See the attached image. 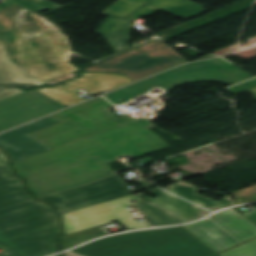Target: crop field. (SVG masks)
Segmentation results:
<instances>
[{
    "label": "crop field",
    "instance_id": "crop-field-1",
    "mask_svg": "<svg viewBox=\"0 0 256 256\" xmlns=\"http://www.w3.org/2000/svg\"><path fill=\"white\" fill-rule=\"evenodd\" d=\"M21 10H0V100L24 92L14 86H40L79 70L68 61L70 50L62 33L26 38L18 31L12 14Z\"/></svg>",
    "mask_w": 256,
    "mask_h": 256
},
{
    "label": "crop field",
    "instance_id": "crop-field-2",
    "mask_svg": "<svg viewBox=\"0 0 256 256\" xmlns=\"http://www.w3.org/2000/svg\"><path fill=\"white\" fill-rule=\"evenodd\" d=\"M16 177L0 151V256H47L56 252L60 234L57 216L50 205L34 200Z\"/></svg>",
    "mask_w": 256,
    "mask_h": 256
},
{
    "label": "crop field",
    "instance_id": "crop-field-3",
    "mask_svg": "<svg viewBox=\"0 0 256 256\" xmlns=\"http://www.w3.org/2000/svg\"><path fill=\"white\" fill-rule=\"evenodd\" d=\"M144 118L13 163L18 175L103 147L115 156L136 158L169 146L148 128Z\"/></svg>",
    "mask_w": 256,
    "mask_h": 256
},
{
    "label": "crop field",
    "instance_id": "crop-field-4",
    "mask_svg": "<svg viewBox=\"0 0 256 256\" xmlns=\"http://www.w3.org/2000/svg\"><path fill=\"white\" fill-rule=\"evenodd\" d=\"M71 252L82 256H209L216 254L181 226L104 238Z\"/></svg>",
    "mask_w": 256,
    "mask_h": 256
},
{
    "label": "crop field",
    "instance_id": "crop-field-5",
    "mask_svg": "<svg viewBox=\"0 0 256 256\" xmlns=\"http://www.w3.org/2000/svg\"><path fill=\"white\" fill-rule=\"evenodd\" d=\"M116 158L99 148L20 176L27 180L28 191L40 198L115 175L107 163Z\"/></svg>",
    "mask_w": 256,
    "mask_h": 256
},
{
    "label": "crop field",
    "instance_id": "crop-field-6",
    "mask_svg": "<svg viewBox=\"0 0 256 256\" xmlns=\"http://www.w3.org/2000/svg\"><path fill=\"white\" fill-rule=\"evenodd\" d=\"M114 107L102 97L52 115L62 123L29 134L53 149L136 120L125 116L118 119L109 112Z\"/></svg>",
    "mask_w": 256,
    "mask_h": 256
},
{
    "label": "crop field",
    "instance_id": "crop-field-7",
    "mask_svg": "<svg viewBox=\"0 0 256 256\" xmlns=\"http://www.w3.org/2000/svg\"><path fill=\"white\" fill-rule=\"evenodd\" d=\"M186 61L158 40L84 71L120 73L137 81Z\"/></svg>",
    "mask_w": 256,
    "mask_h": 256
},
{
    "label": "crop field",
    "instance_id": "crop-field-8",
    "mask_svg": "<svg viewBox=\"0 0 256 256\" xmlns=\"http://www.w3.org/2000/svg\"><path fill=\"white\" fill-rule=\"evenodd\" d=\"M184 228L217 253L256 237V226L233 209Z\"/></svg>",
    "mask_w": 256,
    "mask_h": 256
},
{
    "label": "crop field",
    "instance_id": "crop-field-9",
    "mask_svg": "<svg viewBox=\"0 0 256 256\" xmlns=\"http://www.w3.org/2000/svg\"><path fill=\"white\" fill-rule=\"evenodd\" d=\"M138 184L142 187L131 190L127 188L128 185L121 177L115 175L80 188L43 197L40 198V200L54 203L59 214H62L127 196L152 187L151 183L147 181L138 182Z\"/></svg>",
    "mask_w": 256,
    "mask_h": 256
},
{
    "label": "crop field",
    "instance_id": "crop-field-10",
    "mask_svg": "<svg viewBox=\"0 0 256 256\" xmlns=\"http://www.w3.org/2000/svg\"><path fill=\"white\" fill-rule=\"evenodd\" d=\"M133 199L137 202L142 201L141 198L131 195L96 206L62 214L61 220L64 235L116 220H118L127 230L151 227L145 221L135 222L132 220L133 216L125 207L132 205L128 201Z\"/></svg>",
    "mask_w": 256,
    "mask_h": 256
},
{
    "label": "crop field",
    "instance_id": "crop-field-11",
    "mask_svg": "<svg viewBox=\"0 0 256 256\" xmlns=\"http://www.w3.org/2000/svg\"><path fill=\"white\" fill-rule=\"evenodd\" d=\"M81 75L82 77L79 79L66 82V86L59 85L37 90L69 107L79 101H82L80 96L76 95L77 93L75 92L79 88L96 95L106 90L121 87L132 82L129 78L121 75L98 73H81ZM72 86H74V88H72Z\"/></svg>",
    "mask_w": 256,
    "mask_h": 256
},
{
    "label": "crop field",
    "instance_id": "crop-field-12",
    "mask_svg": "<svg viewBox=\"0 0 256 256\" xmlns=\"http://www.w3.org/2000/svg\"><path fill=\"white\" fill-rule=\"evenodd\" d=\"M57 123L60 122L49 116L15 128L7 133L0 135V148L10 155L12 163L50 150L27 134Z\"/></svg>",
    "mask_w": 256,
    "mask_h": 256
},
{
    "label": "crop field",
    "instance_id": "crop-field-13",
    "mask_svg": "<svg viewBox=\"0 0 256 256\" xmlns=\"http://www.w3.org/2000/svg\"><path fill=\"white\" fill-rule=\"evenodd\" d=\"M178 15L183 18H190L204 12L201 5L189 0H151L147 5L129 15L112 34L122 50L128 49L129 32L133 29L131 23L133 20L142 16H149L157 10Z\"/></svg>",
    "mask_w": 256,
    "mask_h": 256
},
{
    "label": "crop field",
    "instance_id": "crop-field-14",
    "mask_svg": "<svg viewBox=\"0 0 256 256\" xmlns=\"http://www.w3.org/2000/svg\"><path fill=\"white\" fill-rule=\"evenodd\" d=\"M148 192L154 196L155 198L151 199L141 193ZM138 194H135L143 199L152 202L172 213H175L189 221L198 219L210 212L195 206L181 198L173 196L159 188L150 189Z\"/></svg>",
    "mask_w": 256,
    "mask_h": 256
},
{
    "label": "crop field",
    "instance_id": "crop-field-15",
    "mask_svg": "<svg viewBox=\"0 0 256 256\" xmlns=\"http://www.w3.org/2000/svg\"><path fill=\"white\" fill-rule=\"evenodd\" d=\"M147 1L149 0H119L103 12V14H108L111 16L101 26L98 33L102 34L105 38H107L116 51L121 50V48L116 43L111 34L118 27V25L121 23L122 19L125 16L139 8Z\"/></svg>",
    "mask_w": 256,
    "mask_h": 256
},
{
    "label": "crop field",
    "instance_id": "crop-field-16",
    "mask_svg": "<svg viewBox=\"0 0 256 256\" xmlns=\"http://www.w3.org/2000/svg\"><path fill=\"white\" fill-rule=\"evenodd\" d=\"M205 62L208 64L210 69L188 75L186 78H211L217 81L233 84L253 78L241 69L233 66L231 63H228L221 58Z\"/></svg>",
    "mask_w": 256,
    "mask_h": 256
},
{
    "label": "crop field",
    "instance_id": "crop-field-17",
    "mask_svg": "<svg viewBox=\"0 0 256 256\" xmlns=\"http://www.w3.org/2000/svg\"><path fill=\"white\" fill-rule=\"evenodd\" d=\"M153 87H161L167 92L174 89V82L170 81L163 74L105 95L114 105L129 101L131 98L147 93Z\"/></svg>",
    "mask_w": 256,
    "mask_h": 256
},
{
    "label": "crop field",
    "instance_id": "crop-field-18",
    "mask_svg": "<svg viewBox=\"0 0 256 256\" xmlns=\"http://www.w3.org/2000/svg\"><path fill=\"white\" fill-rule=\"evenodd\" d=\"M164 189H167L179 196H182L188 200H191L212 211L221 207L234 205V202L229 195L223 198L222 200L215 202L211 199H208L206 197H203L197 194L198 192H200V189L184 181H178Z\"/></svg>",
    "mask_w": 256,
    "mask_h": 256
},
{
    "label": "crop field",
    "instance_id": "crop-field-19",
    "mask_svg": "<svg viewBox=\"0 0 256 256\" xmlns=\"http://www.w3.org/2000/svg\"><path fill=\"white\" fill-rule=\"evenodd\" d=\"M18 29L26 37L41 31H58L51 23L31 11H21L13 14Z\"/></svg>",
    "mask_w": 256,
    "mask_h": 256
},
{
    "label": "crop field",
    "instance_id": "crop-field-20",
    "mask_svg": "<svg viewBox=\"0 0 256 256\" xmlns=\"http://www.w3.org/2000/svg\"><path fill=\"white\" fill-rule=\"evenodd\" d=\"M136 206L146 216L145 218L153 225H170L188 222L187 220L172 214L152 203L140 202Z\"/></svg>",
    "mask_w": 256,
    "mask_h": 256
},
{
    "label": "crop field",
    "instance_id": "crop-field-21",
    "mask_svg": "<svg viewBox=\"0 0 256 256\" xmlns=\"http://www.w3.org/2000/svg\"><path fill=\"white\" fill-rule=\"evenodd\" d=\"M12 5H17L24 9L31 10L35 13L46 9L55 10L57 8L62 7L47 0H5L2 3H0V9Z\"/></svg>",
    "mask_w": 256,
    "mask_h": 256
},
{
    "label": "crop field",
    "instance_id": "crop-field-22",
    "mask_svg": "<svg viewBox=\"0 0 256 256\" xmlns=\"http://www.w3.org/2000/svg\"><path fill=\"white\" fill-rule=\"evenodd\" d=\"M206 68H208V66L205 64L204 61H201V62L182 65L180 67L174 68L163 74L167 76L169 79L174 80L177 78L185 77L191 73H196Z\"/></svg>",
    "mask_w": 256,
    "mask_h": 256
},
{
    "label": "crop field",
    "instance_id": "crop-field-23",
    "mask_svg": "<svg viewBox=\"0 0 256 256\" xmlns=\"http://www.w3.org/2000/svg\"><path fill=\"white\" fill-rule=\"evenodd\" d=\"M220 256H256V239L228 250Z\"/></svg>",
    "mask_w": 256,
    "mask_h": 256
},
{
    "label": "crop field",
    "instance_id": "crop-field-24",
    "mask_svg": "<svg viewBox=\"0 0 256 256\" xmlns=\"http://www.w3.org/2000/svg\"><path fill=\"white\" fill-rule=\"evenodd\" d=\"M211 79H183V80H176L175 87L184 84V83H193V82H203V81H210Z\"/></svg>",
    "mask_w": 256,
    "mask_h": 256
},
{
    "label": "crop field",
    "instance_id": "crop-field-25",
    "mask_svg": "<svg viewBox=\"0 0 256 256\" xmlns=\"http://www.w3.org/2000/svg\"><path fill=\"white\" fill-rule=\"evenodd\" d=\"M242 215L256 225V210L250 211Z\"/></svg>",
    "mask_w": 256,
    "mask_h": 256
},
{
    "label": "crop field",
    "instance_id": "crop-field-26",
    "mask_svg": "<svg viewBox=\"0 0 256 256\" xmlns=\"http://www.w3.org/2000/svg\"><path fill=\"white\" fill-rule=\"evenodd\" d=\"M247 88H250V86L237 85V86L231 87L227 90L231 93H236V92L242 91V90L247 89Z\"/></svg>",
    "mask_w": 256,
    "mask_h": 256
},
{
    "label": "crop field",
    "instance_id": "crop-field-27",
    "mask_svg": "<svg viewBox=\"0 0 256 256\" xmlns=\"http://www.w3.org/2000/svg\"><path fill=\"white\" fill-rule=\"evenodd\" d=\"M75 76H77V75H76V74H69V75H66V76H64V77H62V78H60V79H57V80L53 81V82H50V83H48V84H49V85H52V84H55V83H58V82H61V81L68 80V79L73 78V77H75Z\"/></svg>",
    "mask_w": 256,
    "mask_h": 256
},
{
    "label": "crop field",
    "instance_id": "crop-field-28",
    "mask_svg": "<svg viewBox=\"0 0 256 256\" xmlns=\"http://www.w3.org/2000/svg\"><path fill=\"white\" fill-rule=\"evenodd\" d=\"M243 85L256 86V79L243 83Z\"/></svg>",
    "mask_w": 256,
    "mask_h": 256
},
{
    "label": "crop field",
    "instance_id": "crop-field-29",
    "mask_svg": "<svg viewBox=\"0 0 256 256\" xmlns=\"http://www.w3.org/2000/svg\"><path fill=\"white\" fill-rule=\"evenodd\" d=\"M211 57H214V56H211V55H207V56H204V57L198 58V59H196V60H200V59H206V58H211Z\"/></svg>",
    "mask_w": 256,
    "mask_h": 256
},
{
    "label": "crop field",
    "instance_id": "crop-field-30",
    "mask_svg": "<svg viewBox=\"0 0 256 256\" xmlns=\"http://www.w3.org/2000/svg\"><path fill=\"white\" fill-rule=\"evenodd\" d=\"M63 256H76V255H73V254H70L68 252L64 253Z\"/></svg>",
    "mask_w": 256,
    "mask_h": 256
},
{
    "label": "crop field",
    "instance_id": "crop-field-31",
    "mask_svg": "<svg viewBox=\"0 0 256 256\" xmlns=\"http://www.w3.org/2000/svg\"><path fill=\"white\" fill-rule=\"evenodd\" d=\"M249 92H252V93H255V94H256V88H255V89L250 90ZM255 99H256V97H255Z\"/></svg>",
    "mask_w": 256,
    "mask_h": 256
},
{
    "label": "crop field",
    "instance_id": "crop-field-32",
    "mask_svg": "<svg viewBox=\"0 0 256 256\" xmlns=\"http://www.w3.org/2000/svg\"><path fill=\"white\" fill-rule=\"evenodd\" d=\"M217 256H219V255H217Z\"/></svg>",
    "mask_w": 256,
    "mask_h": 256
},
{
    "label": "crop field",
    "instance_id": "crop-field-33",
    "mask_svg": "<svg viewBox=\"0 0 256 256\" xmlns=\"http://www.w3.org/2000/svg\"><path fill=\"white\" fill-rule=\"evenodd\" d=\"M59 256V255H58Z\"/></svg>",
    "mask_w": 256,
    "mask_h": 256
}]
</instances>
